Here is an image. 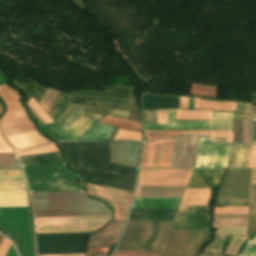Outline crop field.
Segmentation results:
<instances>
[{"label": "crop field", "mask_w": 256, "mask_h": 256, "mask_svg": "<svg viewBox=\"0 0 256 256\" xmlns=\"http://www.w3.org/2000/svg\"><path fill=\"white\" fill-rule=\"evenodd\" d=\"M87 192L31 193L35 217L112 215Z\"/></svg>", "instance_id": "1"}, {"label": "crop field", "mask_w": 256, "mask_h": 256, "mask_svg": "<svg viewBox=\"0 0 256 256\" xmlns=\"http://www.w3.org/2000/svg\"><path fill=\"white\" fill-rule=\"evenodd\" d=\"M0 95L5 99L9 110L1 121L4 135L15 150L34 147L50 142L39 134L26 115L21 97L10 87L0 86Z\"/></svg>", "instance_id": "2"}, {"label": "crop field", "mask_w": 256, "mask_h": 256, "mask_svg": "<svg viewBox=\"0 0 256 256\" xmlns=\"http://www.w3.org/2000/svg\"><path fill=\"white\" fill-rule=\"evenodd\" d=\"M30 192L82 191L66 164L23 165Z\"/></svg>", "instance_id": "3"}, {"label": "crop field", "mask_w": 256, "mask_h": 256, "mask_svg": "<svg viewBox=\"0 0 256 256\" xmlns=\"http://www.w3.org/2000/svg\"><path fill=\"white\" fill-rule=\"evenodd\" d=\"M171 222L129 220L116 250H160Z\"/></svg>", "instance_id": "4"}, {"label": "crop field", "mask_w": 256, "mask_h": 256, "mask_svg": "<svg viewBox=\"0 0 256 256\" xmlns=\"http://www.w3.org/2000/svg\"><path fill=\"white\" fill-rule=\"evenodd\" d=\"M251 169H228L216 205L248 206Z\"/></svg>", "instance_id": "5"}, {"label": "crop field", "mask_w": 256, "mask_h": 256, "mask_svg": "<svg viewBox=\"0 0 256 256\" xmlns=\"http://www.w3.org/2000/svg\"><path fill=\"white\" fill-rule=\"evenodd\" d=\"M192 169L141 168L138 185L185 186Z\"/></svg>", "instance_id": "6"}, {"label": "crop field", "mask_w": 256, "mask_h": 256, "mask_svg": "<svg viewBox=\"0 0 256 256\" xmlns=\"http://www.w3.org/2000/svg\"><path fill=\"white\" fill-rule=\"evenodd\" d=\"M207 230H170L162 251L199 250Z\"/></svg>", "instance_id": "7"}, {"label": "crop field", "mask_w": 256, "mask_h": 256, "mask_svg": "<svg viewBox=\"0 0 256 256\" xmlns=\"http://www.w3.org/2000/svg\"><path fill=\"white\" fill-rule=\"evenodd\" d=\"M231 144H213L201 136L196 167H226Z\"/></svg>", "instance_id": "8"}, {"label": "crop field", "mask_w": 256, "mask_h": 256, "mask_svg": "<svg viewBox=\"0 0 256 256\" xmlns=\"http://www.w3.org/2000/svg\"><path fill=\"white\" fill-rule=\"evenodd\" d=\"M126 220L111 221L88 240L87 256H106Z\"/></svg>", "instance_id": "9"}, {"label": "crop field", "mask_w": 256, "mask_h": 256, "mask_svg": "<svg viewBox=\"0 0 256 256\" xmlns=\"http://www.w3.org/2000/svg\"><path fill=\"white\" fill-rule=\"evenodd\" d=\"M208 206H180L170 229H207Z\"/></svg>", "instance_id": "10"}, {"label": "crop field", "mask_w": 256, "mask_h": 256, "mask_svg": "<svg viewBox=\"0 0 256 256\" xmlns=\"http://www.w3.org/2000/svg\"><path fill=\"white\" fill-rule=\"evenodd\" d=\"M174 141L175 139L146 143L141 166L170 167Z\"/></svg>", "instance_id": "11"}, {"label": "crop field", "mask_w": 256, "mask_h": 256, "mask_svg": "<svg viewBox=\"0 0 256 256\" xmlns=\"http://www.w3.org/2000/svg\"><path fill=\"white\" fill-rule=\"evenodd\" d=\"M86 186L90 195L114 201L115 220L127 218L133 193L88 184Z\"/></svg>", "instance_id": "12"}, {"label": "crop field", "mask_w": 256, "mask_h": 256, "mask_svg": "<svg viewBox=\"0 0 256 256\" xmlns=\"http://www.w3.org/2000/svg\"><path fill=\"white\" fill-rule=\"evenodd\" d=\"M200 136H186L175 141L171 167H195Z\"/></svg>", "instance_id": "13"}, {"label": "crop field", "mask_w": 256, "mask_h": 256, "mask_svg": "<svg viewBox=\"0 0 256 256\" xmlns=\"http://www.w3.org/2000/svg\"><path fill=\"white\" fill-rule=\"evenodd\" d=\"M141 143L114 142L111 162L137 168Z\"/></svg>", "instance_id": "14"}, {"label": "crop field", "mask_w": 256, "mask_h": 256, "mask_svg": "<svg viewBox=\"0 0 256 256\" xmlns=\"http://www.w3.org/2000/svg\"><path fill=\"white\" fill-rule=\"evenodd\" d=\"M176 110H168L167 124H145L146 129H205L211 122L175 121ZM184 124V125H182ZM196 124V126H195Z\"/></svg>", "instance_id": "15"}, {"label": "crop field", "mask_w": 256, "mask_h": 256, "mask_svg": "<svg viewBox=\"0 0 256 256\" xmlns=\"http://www.w3.org/2000/svg\"><path fill=\"white\" fill-rule=\"evenodd\" d=\"M111 216L35 218V225L108 223Z\"/></svg>", "instance_id": "16"}, {"label": "crop field", "mask_w": 256, "mask_h": 256, "mask_svg": "<svg viewBox=\"0 0 256 256\" xmlns=\"http://www.w3.org/2000/svg\"><path fill=\"white\" fill-rule=\"evenodd\" d=\"M0 191H26L22 171L1 170Z\"/></svg>", "instance_id": "17"}, {"label": "crop field", "mask_w": 256, "mask_h": 256, "mask_svg": "<svg viewBox=\"0 0 256 256\" xmlns=\"http://www.w3.org/2000/svg\"><path fill=\"white\" fill-rule=\"evenodd\" d=\"M181 198L135 197L132 208L176 209Z\"/></svg>", "instance_id": "18"}, {"label": "crop field", "mask_w": 256, "mask_h": 256, "mask_svg": "<svg viewBox=\"0 0 256 256\" xmlns=\"http://www.w3.org/2000/svg\"><path fill=\"white\" fill-rule=\"evenodd\" d=\"M105 224L35 226L36 233L94 232Z\"/></svg>", "instance_id": "19"}, {"label": "crop field", "mask_w": 256, "mask_h": 256, "mask_svg": "<svg viewBox=\"0 0 256 256\" xmlns=\"http://www.w3.org/2000/svg\"><path fill=\"white\" fill-rule=\"evenodd\" d=\"M185 187L138 186L135 196L181 197Z\"/></svg>", "instance_id": "20"}, {"label": "crop field", "mask_w": 256, "mask_h": 256, "mask_svg": "<svg viewBox=\"0 0 256 256\" xmlns=\"http://www.w3.org/2000/svg\"><path fill=\"white\" fill-rule=\"evenodd\" d=\"M176 210L132 209L129 219L172 220Z\"/></svg>", "instance_id": "21"}, {"label": "crop field", "mask_w": 256, "mask_h": 256, "mask_svg": "<svg viewBox=\"0 0 256 256\" xmlns=\"http://www.w3.org/2000/svg\"><path fill=\"white\" fill-rule=\"evenodd\" d=\"M215 228L246 227L247 215H213Z\"/></svg>", "instance_id": "22"}, {"label": "crop field", "mask_w": 256, "mask_h": 256, "mask_svg": "<svg viewBox=\"0 0 256 256\" xmlns=\"http://www.w3.org/2000/svg\"><path fill=\"white\" fill-rule=\"evenodd\" d=\"M210 189H187L180 205H206Z\"/></svg>", "instance_id": "23"}, {"label": "crop field", "mask_w": 256, "mask_h": 256, "mask_svg": "<svg viewBox=\"0 0 256 256\" xmlns=\"http://www.w3.org/2000/svg\"><path fill=\"white\" fill-rule=\"evenodd\" d=\"M251 146L233 145L229 167H247Z\"/></svg>", "instance_id": "24"}, {"label": "crop field", "mask_w": 256, "mask_h": 256, "mask_svg": "<svg viewBox=\"0 0 256 256\" xmlns=\"http://www.w3.org/2000/svg\"><path fill=\"white\" fill-rule=\"evenodd\" d=\"M22 164L64 163L61 152L20 157Z\"/></svg>", "instance_id": "25"}, {"label": "crop field", "mask_w": 256, "mask_h": 256, "mask_svg": "<svg viewBox=\"0 0 256 256\" xmlns=\"http://www.w3.org/2000/svg\"><path fill=\"white\" fill-rule=\"evenodd\" d=\"M28 206L26 192H0V207Z\"/></svg>", "instance_id": "26"}, {"label": "crop field", "mask_w": 256, "mask_h": 256, "mask_svg": "<svg viewBox=\"0 0 256 256\" xmlns=\"http://www.w3.org/2000/svg\"><path fill=\"white\" fill-rule=\"evenodd\" d=\"M98 122L107 124V125H111V126H115V127L141 131L140 122L130 121V120H126V119L119 118V117L106 115L104 118H102Z\"/></svg>", "instance_id": "27"}, {"label": "crop field", "mask_w": 256, "mask_h": 256, "mask_svg": "<svg viewBox=\"0 0 256 256\" xmlns=\"http://www.w3.org/2000/svg\"><path fill=\"white\" fill-rule=\"evenodd\" d=\"M256 231V185H251L247 235Z\"/></svg>", "instance_id": "28"}, {"label": "crop field", "mask_w": 256, "mask_h": 256, "mask_svg": "<svg viewBox=\"0 0 256 256\" xmlns=\"http://www.w3.org/2000/svg\"><path fill=\"white\" fill-rule=\"evenodd\" d=\"M234 112H213L212 129H232Z\"/></svg>", "instance_id": "29"}, {"label": "crop field", "mask_w": 256, "mask_h": 256, "mask_svg": "<svg viewBox=\"0 0 256 256\" xmlns=\"http://www.w3.org/2000/svg\"><path fill=\"white\" fill-rule=\"evenodd\" d=\"M210 131H146V139H160L179 136L181 134L209 135Z\"/></svg>", "instance_id": "30"}, {"label": "crop field", "mask_w": 256, "mask_h": 256, "mask_svg": "<svg viewBox=\"0 0 256 256\" xmlns=\"http://www.w3.org/2000/svg\"><path fill=\"white\" fill-rule=\"evenodd\" d=\"M234 107H235V103H231V102H213V101L199 100L195 98V108L234 111Z\"/></svg>", "instance_id": "31"}, {"label": "crop field", "mask_w": 256, "mask_h": 256, "mask_svg": "<svg viewBox=\"0 0 256 256\" xmlns=\"http://www.w3.org/2000/svg\"><path fill=\"white\" fill-rule=\"evenodd\" d=\"M176 119L211 120V110H177Z\"/></svg>", "instance_id": "32"}, {"label": "crop field", "mask_w": 256, "mask_h": 256, "mask_svg": "<svg viewBox=\"0 0 256 256\" xmlns=\"http://www.w3.org/2000/svg\"><path fill=\"white\" fill-rule=\"evenodd\" d=\"M84 106L85 105L71 104L69 112L57 124L67 130L81 116Z\"/></svg>", "instance_id": "33"}, {"label": "crop field", "mask_w": 256, "mask_h": 256, "mask_svg": "<svg viewBox=\"0 0 256 256\" xmlns=\"http://www.w3.org/2000/svg\"><path fill=\"white\" fill-rule=\"evenodd\" d=\"M1 169H21L16 153H0Z\"/></svg>", "instance_id": "34"}, {"label": "crop field", "mask_w": 256, "mask_h": 256, "mask_svg": "<svg viewBox=\"0 0 256 256\" xmlns=\"http://www.w3.org/2000/svg\"><path fill=\"white\" fill-rule=\"evenodd\" d=\"M234 117L256 118V107L242 102L236 103Z\"/></svg>", "instance_id": "35"}, {"label": "crop field", "mask_w": 256, "mask_h": 256, "mask_svg": "<svg viewBox=\"0 0 256 256\" xmlns=\"http://www.w3.org/2000/svg\"><path fill=\"white\" fill-rule=\"evenodd\" d=\"M58 144L66 153L72 168L77 170V142H72V144L58 142Z\"/></svg>", "instance_id": "36"}, {"label": "crop field", "mask_w": 256, "mask_h": 256, "mask_svg": "<svg viewBox=\"0 0 256 256\" xmlns=\"http://www.w3.org/2000/svg\"><path fill=\"white\" fill-rule=\"evenodd\" d=\"M217 87L191 84L190 94L203 95L216 98Z\"/></svg>", "instance_id": "37"}, {"label": "crop field", "mask_w": 256, "mask_h": 256, "mask_svg": "<svg viewBox=\"0 0 256 256\" xmlns=\"http://www.w3.org/2000/svg\"><path fill=\"white\" fill-rule=\"evenodd\" d=\"M56 151H59V150L56 147L55 143H53V144L21 151L19 152V155L24 156V155H32V154H40V153H48V152H56Z\"/></svg>", "instance_id": "38"}, {"label": "crop field", "mask_w": 256, "mask_h": 256, "mask_svg": "<svg viewBox=\"0 0 256 256\" xmlns=\"http://www.w3.org/2000/svg\"><path fill=\"white\" fill-rule=\"evenodd\" d=\"M58 94V91L47 89L44 97L40 101V105L43 107V109L48 113V111L51 109L53 102Z\"/></svg>", "instance_id": "39"}, {"label": "crop field", "mask_w": 256, "mask_h": 256, "mask_svg": "<svg viewBox=\"0 0 256 256\" xmlns=\"http://www.w3.org/2000/svg\"><path fill=\"white\" fill-rule=\"evenodd\" d=\"M247 239V237L233 236L228 244L225 254L236 256L240 246Z\"/></svg>", "instance_id": "40"}, {"label": "crop field", "mask_w": 256, "mask_h": 256, "mask_svg": "<svg viewBox=\"0 0 256 256\" xmlns=\"http://www.w3.org/2000/svg\"><path fill=\"white\" fill-rule=\"evenodd\" d=\"M160 251H115L113 256H159Z\"/></svg>", "instance_id": "41"}, {"label": "crop field", "mask_w": 256, "mask_h": 256, "mask_svg": "<svg viewBox=\"0 0 256 256\" xmlns=\"http://www.w3.org/2000/svg\"><path fill=\"white\" fill-rule=\"evenodd\" d=\"M248 207H214V213L247 214Z\"/></svg>", "instance_id": "42"}, {"label": "crop field", "mask_w": 256, "mask_h": 256, "mask_svg": "<svg viewBox=\"0 0 256 256\" xmlns=\"http://www.w3.org/2000/svg\"><path fill=\"white\" fill-rule=\"evenodd\" d=\"M30 105H31V107L38 113V115L44 120V122L46 123V124H48L49 122H51L52 120L50 119V117L46 114V112L36 103V101L33 99V97L31 98V100L28 102ZM27 103V104H28ZM28 104V105H29ZM30 105H29V107H30ZM30 107V108H31ZM31 108V109H32ZM32 109V110H33ZM33 110V111H34ZM34 111V113L36 114V112ZM37 115V114H36ZM37 115V116H38ZM38 116V118L43 122V120L40 118ZM43 122V124L44 125H46L45 123Z\"/></svg>", "instance_id": "43"}, {"label": "crop field", "mask_w": 256, "mask_h": 256, "mask_svg": "<svg viewBox=\"0 0 256 256\" xmlns=\"http://www.w3.org/2000/svg\"><path fill=\"white\" fill-rule=\"evenodd\" d=\"M114 139H137V140H141V132L119 129Z\"/></svg>", "instance_id": "44"}, {"label": "crop field", "mask_w": 256, "mask_h": 256, "mask_svg": "<svg viewBox=\"0 0 256 256\" xmlns=\"http://www.w3.org/2000/svg\"><path fill=\"white\" fill-rule=\"evenodd\" d=\"M253 119H244L243 143H252Z\"/></svg>", "instance_id": "45"}, {"label": "crop field", "mask_w": 256, "mask_h": 256, "mask_svg": "<svg viewBox=\"0 0 256 256\" xmlns=\"http://www.w3.org/2000/svg\"><path fill=\"white\" fill-rule=\"evenodd\" d=\"M223 240H224V235H215V239L209 245L206 246L204 251L220 252Z\"/></svg>", "instance_id": "46"}, {"label": "crop field", "mask_w": 256, "mask_h": 256, "mask_svg": "<svg viewBox=\"0 0 256 256\" xmlns=\"http://www.w3.org/2000/svg\"><path fill=\"white\" fill-rule=\"evenodd\" d=\"M243 119H234V142L242 143Z\"/></svg>", "instance_id": "47"}, {"label": "crop field", "mask_w": 256, "mask_h": 256, "mask_svg": "<svg viewBox=\"0 0 256 256\" xmlns=\"http://www.w3.org/2000/svg\"><path fill=\"white\" fill-rule=\"evenodd\" d=\"M246 228L218 229L216 234L245 235Z\"/></svg>", "instance_id": "48"}, {"label": "crop field", "mask_w": 256, "mask_h": 256, "mask_svg": "<svg viewBox=\"0 0 256 256\" xmlns=\"http://www.w3.org/2000/svg\"><path fill=\"white\" fill-rule=\"evenodd\" d=\"M198 251L162 252L161 256H196Z\"/></svg>", "instance_id": "49"}, {"label": "crop field", "mask_w": 256, "mask_h": 256, "mask_svg": "<svg viewBox=\"0 0 256 256\" xmlns=\"http://www.w3.org/2000/svg\"><path fill=\"white\" fill-rule=\"evenodd\" d=\"M145 122H157V110H144Z\"/></svg>", "instance_id": "50"}, {"label": "crop field", "mask_w": 256, "mask_h": 256, "mask_svg": "<svg viewBox=\"0 0 256 256\" xmlns=\"http://www.w3.org/2000/svg\"><path fill=\"white\" fill-rule=\"evenodd\" d=\"M73 98H82V99H99V100H113L121 101V98H112V97H100V96H82V95H73Z\"/></svg>", "instance_id": "51"}, {"label": "crop field", "mask_w": 256, "mask_h": 256, "mask_svg": "<svg viewBox=\"0 0 256 256\" xmlns=\"http://www.w3.org/2000/svg\"><path fill=\"white\" fill-rule=\"evenodd\" d=\"M248 167H256V145H252Z\"/></svg>", "instance_id": "52"}, {"label": "crop field", "mask_w": 256, "mask_h": 256, "mask_svg": "<svg viewBox=\"0 0 256 256\" xmlns=\"http://www.w3.org/2000/svg\"><path fill=\"white\" fill-rule=\"evenodd\" d=\"M10 241L7 240L6 238H3L1 244H0V256H4L9 245H10Z\"/></svg>", "instance_id": "53"}, {"label": "crop field", "mask_w": 256, "mask_h": 256, "mask_svg": "<svg viewBox=\"0 0 256 256\" xmlns=\"http://www.w3.org/2000/svg\"><path fill=\"white\" fill-rule=\"evenodd\" d=\"M210 140L214 142L233 143V137H210Z\"/></svg>", "instance_id": "54"}, {"label": "crop field", "mask_w": 256, "mask_h": 256, "mask_svg": "<svg viewBox=\"0 0 256 256\" xmlns=\"http://www.w3.org/2000/svg\"><path fill=\"white\" fill-rule=\"evenodd\" d=\"M243 256H256V245H248Z\"/></svg>", "instance_id": "55"}, {"label": "crop field", "mask_w": 256, "mask_h": 256, "mask_svg": "<svg viewBox=\"0 0 256 256\" xmlns=\"http://www.w3.org/2000/svg\"><path fill=\"white\" fill-rule=\"evenodd\" d=\"M167 110H158V123H166Z\"/></svg>", "instance_id": "56"}, {"label": "crop field", "mask_w": 256, "mask_h": 256, "mask_svg": "<svg viewBox=\"0 0 256 256\" xmlns=\"http://www.w3.org/2000/svg\"><path fill=\"white\" fill-rule=\"evenodd\" d=\"M0 151H13L4 141L0 133Z\"/></svg>", "instance_id": "57"}, {"label": "crop field", "mask_w": 256, "mask_h": 256, "mask_svg": "<svg viewBox=\"0 0 256 256\" xmlns=\"http://www.w3.org/2000/svg\"><path fill=\"white\" fill-rule=\"evenodd\" d=\"M210 136H232V131H212Z\"/></svg>", "instance_id": "58"}, {"label": "crop field", "mask_w": 256, "mask_h": 256, "mask_svg": "<svg viewBox=\"0 0 256 256\" xmlns=\"http://www.w3.org/2000/svg\"><path fill=\"white\" fill-rule=\"evenodd\" d=\"M109 114L118 115V116H122V117H126L127 118L128 111L113 109V110H111L109 112Z\"/></svg>", "instance_id": "59"}, {"label": "crop field", "mask_w": 256, "mask_h": 256, "mask_svg": "<svg viewBox=\"0 0 256 256\" xmlns=\"http://www.w3.org/2000/svg\"><path fill=\"white\" fill-rule=\"evenodd\" d=\"M180 108L188 109V98L180 97Z\"/></svg>", "instance_id": "60"}, {"label": "crop field", "mask_w": 256, "mask_h": 256, "mask_svg": "<svg viewBox=\"0 0 256 256\" xmlns=\"http://www.w3.org/2000/svg\"><path fill=\"white\" fill-rule=\"evenodd\" d=\"M38 256H85V254H57V255H38Z\"/></svg>", "instance_id": "61"}, {"label": "crop field", "mask_w": 256, "mask_h": 256, "mask_svg": "<svg viewBox=\"0 0 256 256\" xmlns=\"http://www.w3.org/2000/svg\"><path fill=\"white\" fill-rule=\"evenodd\" d=\"M12 245V244H11ZM11 247V246H10ZM10 249V248H9ZM9 251V250H8ZM8 253V252H7ZM7 255V254H6ZM7 256H18L17 253L15 252L13 246L11 247L9 253Z\"/></svg>", "instance_id": "62"}, {"label": "crop field", "mask_w": 256, "mask_h": 256, "mask_svg": "<svg viewBox=\"0 0 256 256\" xmlns=\"http://www.w3.org/2000/svg\"><path fill=\"white\" fill-rule=\"evenodd\" d=\"M251 184H256V169H253Z\"/></svg>", "instance_id": "63"}, {"label": "crop field", "mask_w": 256, "mask_h": 256, "mask_svg": "<svg viewBox=\"0 0 256 256\" xmlns=\"http://www.w3.org/2000/svg\"><path fill=\"white\" fill-rule=\"evenodd\" d=\"M253 142H256V119H254Z\"/></svg>", "instance_id": "64"}, {"label": "crop field", "mask_w": 256, "mask_h": 256, "mask_svg": "<svg viewBox=\"0 0 256 256\" xmlns=\"http://www.w3.org/2000/svg\"><path fill=\"white\" fill-rule=\"evenodd\" d=\"M200 256H222V254H208V253H201Z\"/></svg>", "instance_id": "65"}, {"label": "crop field", "mask_w": 256, "mask_h": 256, "mask_svg": "<svg viewBox=\"0 0 256 256\" xmlns=\"http://www.w3.org/2000/svg\"><path fill=\"white\" fill-rule=\"evenodd\" d=\"M3 109H2V105L0 104V114L2 113Z\"/></svg>", "instance_id": "66"}, {"label": "crop field", "mask_w": 256, "mask_h": 256, "mask_svg": "<svg viewBox=\"0 0 256 256\" xmlns=\"http://www.w3.org/2000/svg\"><path fill=\"white\" fill-rule=\"evenodd\" d=\"M252 242H256V238H254V239L252 240Z\"/></svg>", "instance_id": "67"}, {"label": "crop field", "mask_w": 256, "mask_h": 256, "mask_svg": "<svg viewBox=\"0 0 256 256\" xmlns=\"http://www.w3.org/2000/svg\"><path fill=\"white\" fill-rule=\"evenodd\" d=\"M2 237H3V236H2V235H0V241H1Z\"/></svg>", "instance_id": "68"}]
</instances>
